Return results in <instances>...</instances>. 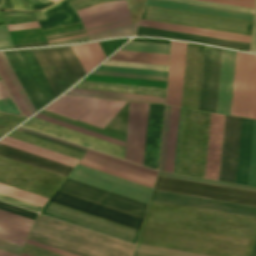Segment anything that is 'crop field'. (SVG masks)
<instances>
[{
    "label": "crop field",
    "instance_id": "8a807250",
    "mask_svg": "<svg viewBox=\"0 0 256 256\" xmlns=\"http://www.w3.org/2000/svg\"><path fill=\"white\" fill-rule=\"evenodd\" d=\"M57 96L86 74L71 47L33 50ZM32 50L4 52L36 111L56 96Z\"/></svg>",
    "mask_w": 256,
    "mask_h": 256
},
{
    "label": "crop field",
    "instance_id": "ac0d7876",
    "mask_svg": "<svg viewBox=\"0 0 256 256\" xmlns=\"http://www.w3.org/2000/svg\"><path fill=\"white\" fill-rule=\"evenodd\" d=\"M69 179L147 204L151 188L77 165ZM66 179L59 191L144 217L145 204Z\"/></svg>",
    "mask_w": 256,
    "mask_h": 256
},
{
    "label": "crop field",
    "instance_id": "34b2d1b8",
    "mask_svg": "<svg viewBox=\"0 0 256 256\" xmlns=\"http://www.w3.org/2000/svg\"><path fill=\"white\" fill-rule=\"evenodd\" d=\"M28 239L79 256H131L134 248L41 215Z\"/></svg>",
    "mask_w": 256,
    "mask_h": 256
},
{
    "label": "crop field",
    "instance_id": "412701ff",
    "mask_svg": "<svg viewBox=\"0 0 256 256\" xmlns=\"http://www.w3.org/2000/svg\"><path fill=\"white\" fill-rule=\"evenodd\" d=\"M144 20L251 36L252 22L182 11L144 7Z\"/></svg>",
    "mask_w": 256,
    "mask_h": 256
},
{
    "label": "crop field",
    "instance_id": "f4fd0767",
    "mask_svg": "<svg viewBox=\"0 0 256 256\" xmlns=\"http://www.w3.org/2000/svg\"><path fill=\"white\" fill-rule=\"evenodd\" d=\"M156 190L256 206V193L231 188L157 177Z\"/></svg>",
    "mask_w": 256,
    "mask_h": 256
},
{
    "label": "crop field",
    "instance_id": "dd49c442",
    "mask_svg": "<svg viewBox=\"0 0 256 256\" xmlns=\"http://www.w3.org/2000/svg\"><path fill=\"white\" fill-rule=\"evenodd\" d=\"M40 213L132 244L139 232L50 202Z\"/></svg>",
    "mask_w": 256,
    "mask_h": 256
},
{
    "label": "crop field",
    "instance_id": "e52e79f7",
    "mask_svg": "<svg viewBox=\"0 0 256 256\" xmlns=\"http://www.w3.org/2000/svg\"><path fill=\"white\" fill-rule=\"evenodd\" d=\"M255 55L237 52L231 115L249 118Z\"/></svg>",
    "mask_w": 256,
    "mask_h": 256
},
{
    "label": "crop field",
    "instance_id": "d8731c3e",
    "mask_svg": "<svg viewBox=\"0 0 256 256\" xmlns=\"http://www.w3.org/2000/svg\"><path fill=\"white\" fill-rule=\"evenodd\" d=\"M50 202L72 208L130 228L140 229L142 218L120 212L81 198L57 191Z\"/></svg>",
    "mask_w": 256,
    "mask_h": 256
},
{
    "label": "crop field",
    "instance_id": "5a996713",
    "mask_svg": "<svg viewBox=\"0 0 256 256\" xmlns=\"http://www.w3.org/2000/svg\"><path fill=\"white\" fill-rule=\"evenodd\" d=\"M221 54L220 49L205 47L198 110L215 113Z\"/></svg>",
    "mask_w": 256,
    "mask_h": 256
},
{
    "label": "crop field",
    "instance_id": "3316defc",
    "mask_svg": "<svg viewBox=\"0 0 256 256\" xmlns=\"http://www.w3.org/2000/svg\"><path fill=\"white\" fill-rule=\"evenodd\" d=\"M150 200L256 217V207L232 204L156 190L153 191Z\"/></svg>",
    "mask_w": 256,
    "mask_h": 256
},
{
    "label": "crop field",
    "instance_id": "28ad6ade",
    "mask_svg": "<svg viewBox=\"0 0 256 256\" xmlns=\"http://www.w3.org/2000/svg\"><path fill=\"white\" fill-rule=\"evenodd\" d=\"M241 119L225 116L219 180L235 183Z\"/></svg>",
    "mask_w": 256,
    "mask_h": 256
},
{
    "label": "crop field",
    "instance_id": "d1516ede",
    "mask_svg": "<svg viewBox=\"0 0 256 256\" xmlns=\"http://www.w3.org/2000/svg\"><path fill=\"white\" fill-rule=\"evenodd\" d=\"M122 6H126L125 1L104 3L92 8L78 11L77 13L81 18ZM42 12L48 18L43 22H39L42 29L81 21L74 7L63 0Z\"/></svg>",
    "mask_w": 256,
    "mask_h": 256
},
{
    "label": "crop field",
    "instance_id": "22f410ed",
    "mask_svg": "<svg viewBox=\"0 0 256 256\" xmlns=\"http://www.w3.org/2000/svg\"><path fill=\"white\" fill-rule=\"evenodd\" d=\"M164 106L149 104L143 165L158 170Z\"/></svg>",
    "mask_w": 256,
    "mask_h": 256
},
{
    "label": "crop field",
    "instance_id": "cbeb9de0",
    "mask_svg": "<svg viewBox=\"0 0 256 256\" xmlns=\"http://www.w3.org/2000/svg\"><path fill=\"white\" fill-rule=\"evenodd\" d=\"M186 44L172 41L166 105L180 107Z\"/></svg>",
    "mask_w": 256,
    "mask_h": 256
},
{
    "label": "crop field",
    "instance_id": "5142ce71",
    "mask_svg": "<svg viewBox=\"0 0 256 256\" xmlns=\"http://www.w3.org/2000/svg\"><path fill=\"white\" fill-rule=\"evenodd\" d=\"M236 52L223 50L216 113L230 115Z\"/></svg>",
    "mask_w": 256,
    "mask_h": 256
},
{
    "label": "crop field",
    "instance_id": "d9b57169",
    "mask_svg": "<svg viewBox=\"0 0 256 256\" xmlns=\"http://www.w3.org/2000/svg\"><path fill=\"white\" fill-rule=\"evenodd\" d=\"M224 116L212 114L205 178L218 180Z\"/></svg>",
    "mask_w": 256,
    "mask_h": 256
},
{
    "label": "crop field",
    "instance_id": "733c2abd",
    "mask_svg": "<svg viewBox=\"0 0 256 256\" xmlns=\"http://www.w3.org/2000/svg\"><path fill=\"white\" fill-rule=\"evenodd\" d=\"M0 156L66 177L72 167L0 144Z\"/></svg>",
    "mask_w": 256,
    "mask_h": 256
},
{
    "label": "crop field",
    "instance_id": "4a817a6b",
    "mask_svg": "<svg viewBox=\"0 0 256 256\" xmlns=\"http://www.w3.org/2000/svg\"><path fill=\"white\" fill-rule=\"evenodd\" d=\"M126 103L96 100L78 121L104 129Z\"/></svg>",
    "mask_w": 256,
    "mask_h": 256
},
{
    "label": "crop field",
    "instance_id": "bc2a9ffb",
    "mask_svg": "<svg viewBox=\"0 0 256 256\" xmlns=\"http://www.w3.org/2000/svg\"><path fill=\"white\" fill-rule=\"evenodd\" d=\"M135 35L156 36V37L179 39V40H185V41H191V42L217 45V46H221V47H225V48H229V49L244 50V51H248L249 45H250L247 43L227 41V40L214 39V38L201 37V36H194V35L168 32V31L155 30V29H148V28H142V27L138 28Z\"/></svg>",
    "mask_w": 256,
    "mask_h": 256
},
{
    "label": "crop field",
    "instance_id": "214f88e0",
    "mask_svg": "<svg viewBox=\"0 0 256 256\" xmlns=\"http://www.w3.org/2000/svg\"><path fill=\"white\" fill-rule=\"evenodd\" d=\"M253 121L242 119L236 183L247 185Z\"/></svg>",
    "mask_w": 256,
    "mask_h": 256
},
{
    "label": "crop field",
    "instance_id": "92a150f3",
    "mask_svg": "<svg viewBox=\"0 0 256 256\" xmlns=\"http://www.w3.org/2000/svg\"><path fill=\"white\" fill-rule=\"evenodd\" d=\"M145 5L183 10V11H189V12H196V13H202V14H209V15H215V16L236 18V19L249 20V21H252V18H253V15H250V14L225 11V10L201 7V6H194V5L182 4V3H176V2H169V1H163V0H147Z\"/></svg>",
    "mask_w": 256,
    "mask_h": 256
},
{
    "label": "crop field",
    "instance_id": "dafd665d",
    "mask_svg": "<svg viewBox=\"0 0 256 256\" xmlns=\"http://www.w3.org/2000/svg\"><path fill=\"white\" fill-rule=\"evenodd\" d=\"M139 26L181 32V33L195 34V35H201V36H208V37H214V38H221V39H227V40L241 41V42H247V43H250V40H251V37H248V36L209 31V30L196 29V28H189V27L150 22V21H144V20L140 21Z\"/></svg>",
    "mask_w": 256,
    "mask_h": 256
},
{
    "label": "crop field",
    "instance_id": "00972430",
    "mask_svg": "<svg viewBox=\"0 0 256 256\" xmlns=\"http://www.w3.org/2000/svg\"><path fill=\"white\" fill-rule=\"evenodd\" d=\"M65 95L91 97V98H102V99L125 100V101H136V102H147V103H158V104H164V100H165V97H160V96L136 95V94L78 90V89H72Z\"/></svg>",
    "mask_w": 256,
    "mask_h": 256
},
{
    "label": "crop field",
    "instance_id": "a9b5d70f",
    "mask_svg": "<svg viewBox=\"0 0 256 256\" xmlns=\"http://www.w3.org/2000/svg\"><path fill=\"white\" fill-rule=\"evenodd\" d=\"M93 100L90 98L62 96L45 110L77 120Z\"/></svg>",
    "mask_w": 256,
    "mask_h": 256
},
{
    "label": "crop field",
    "instance_id": "4177f3b9",
    "mask_svg": "<svg viewBox=\"0 0 256 256\" xmlns=\"http://www.w3.org/2000/svg\"><path fill=\"white\" fill-rule=\"evenodd\" d=\"M141 104L130 103L125 159L135 163Z\"/></svg>",
    "mask_w": 256,
    "mask_h": 256
},
{
    "label": "crop field",
    "instance_id": "730fd06b",
    "mask_svg": "<svg viewBox=\"0 0 256 256\" xmlns=\"http://www.w3.org/2000/svg\"><path fill=\"white\" fill-rule=\"evenodd\" d=\"M0 143L23 150V151H26V152H29V153H32V154H35V155H38V156H41V157H44V158H48V159L72 166V167H74L76 165V163L78 162V160H75V159H72V158H69V157H66V156L45 150V149H41V148L26 144V143H23V142H20V141H17V140L8 138V137L1 140Z\"/></svg>",
    "mask_w": 256,
    "mask_h": 256
},
{
    "label": "crop field",
    "instance_id": "eef30255",
    "mask_svg": "<svg viewBox=\"0 0 256 256\" xmlns=\"http://www.w3.org/2000/svg\"><path fill=\"white\" fill-rule=\"evenodd\" d=\"M72 49L86 74L106 58L98 43L74 46Z\"/></svg>",
    "mask_w": 256,
    "mask_h": 256
},
{
    "label": "crop field",
    "instance_id": "ae1a2a85",
    "mask_svg": "<svg viewBox=\"0 0 256 256\" xmlns=\"http://www.w3.org/2000/svg\"><path fill=\"white\" fill-rule=\"evenodd\" d=\"M109 60L168 65L169 56L118 51Z\"/></svg>",
    "mask_w": 256,
    "mask_h": 256
},
{
    "label": "crop field",
    "instance_id": "d3111659",
    "mask_svg": "<svg viewBox=\"0 0 256 256\" xmlns=\"http://www.w3.org/2000/svg\"><path fill=\"white\" fill-rule=\"evenodd\" d=\"M120 50L169 55L170 45L130 41Z\"/></svg>",
    "mask_w": 256,
    "mask_h": 256
},
{
    "label": "crop field",
    "instance_id": "750c4746",
    "mask_svg": "<svg viewBox=\"0 0 256 256\" xmlns=\"http://www.w3.org/2000/svg\"><path fill=\"white\" fill-rule=\"evenodd\" d=\"M0 193L43 207L48 199L0 184Z\"/></svg>",
    "mask_w": 256,
    "mask_h": 256
},
{
    "label": "crop field",
    "instance_id": "bd1437ed",
    "mask_svg": "<svg viewBox=\"0 0 256 256\" xmlns=\"http://www.w3.org/2000/svg\"><path fill=\"white\" fill-rule=\"evenodd\" d=\"M137 24L138 23L129 24V25L109 29V30H106L103 32L90 34L88 36H89L90 40L128 36V35L135 33Z\"/></svg>",
    "mask_w": 256,
    "mask_h": 256
},
{
    "label": "crop field",
    "instance_id": "1d83c4d3",
    "mask_svg": "<svg viewBox=\"0 0 256 256\" xmlns=\"http://www.w3.org/2000/svg\"><path fill=\"white\" fill-rule=\"evenodd\" d=\"M0 77L3 80L5 86L7 87L9 93L11 94L13 100L15 101L17 107L19 108L21 114L27 117L31 116L23 100L21 99L19 93L17 92L15 86L13 85L10 77L8 76L6 70L3 69L1 63H0Z\"/></svg>",
    "mask_w": 256,
    "mask_h": 256
},
{
    "label": "crop field",
    "instance_id": "120bbe31",
    "mask_svg": "<svg viewBox=\"0 0 256 256\" xmlns=\"http://www.w3.org/2000/svg\"><path fill=\"white\" fill-rule=\"evenodd\" d=\"M0 61H1L2 65H3L4 69L7 70L9 76L11 77L14 85L16 86L18 92L20 93L22 99L24 100V102H25L27 108L29 109L31 115L34 114L36 112L34 107L31 104L29 98L27 97V95H26L24 89L22 88L20 82L18 81L16 75L14 74L12 68L10 67V65H9L7 59L5 58L3 52H0Z\"/></svg>",
    "mask_w": 256,
    "mask_h": 256
},
{
    "label": "crop field",
    "instance_id": "d32e631a",
    "mask_svg": "<svg viewBox=\"0 0 256 256\" xmlns=\"http://www.w3.org/2000/svg\"><path fill=\"white\" fill-rule=\"evenodd\" d=\"M7 10H22V11H36L48 7L59 0H52L53 2L46 4L32 5L28 0H4Z\"/></svg>",
    "mask_w": 256,
    "mask_h": 256
},
{
    "label": "crop field",
    "instance_id": "5866460e",
    "mask_svg": "<svg viewBox=\"0 0 256 256\" xmlns=\"http://www.w3.org/2000/svg\"><path fill=\"white\" fill-rule=\"evenodd\" d=\"M128 18H130V16L127 10V11L83 21L82 23L84 28L87 29V28H91V27H95V26H99L107 23H112V22H116V21H120Z\"/></svg>",
    "mask_w": 256,
    "mask_h": 256
},
{
    "label": "crop field",
    "instance_id": "028f5c9d",
    "mask_svg": "<svg viewBox=\"0 0 256 256\" xmlns=\"http://www.w3.org/2000/svg\"><path fill=\"white\" fill-rule=\"evenodd\" d=\"M147 109H148V104H142L139 139H138V149H137V159H136V163L141 164V165H142V160H143Z\"/></svg>",
    "mask_w": 256,
    "mask_h": 256
},
{
    "label": "crop field",
    "instance_id": "e1f06a70",
    "mask_svg": "<svg viewBox=\"0 0 256 256\" xmlns=\"http://www.w3.org/2000/svg\"><path fill=\"white\" fill-rule=\"evenodd\" d=\"M96 70L167 77V72L100 66Z\"/></svg>",
    "mask_w": 256,
    "mask_h": 256
},
{
    "label": "crop field",
    "instance_id": "0bd39190",
    "mask_svg": "<svg viewBox=\"0 0 256 256\" xmlns=\"http://www.w3.org/2000/svg\"><path fill=\"white\" fill-rule=\"evenodd\" d=\"M248 185L256 187V121H254V126H253Z\"/></svg>",
    "mask_w": 256,
    "mask_h": 256
},
{
    "label": "crop field",
    "instance_id": "b80d0937",
    "mask_svg": "<svg viewBox=\"0 0 256 256\" xmlns=\"http://www.w3.org/2000/svg\"><path fill=\"white\" fill-rule=\"evenodd\" d=\"M134 251L155 254V255H162V256H202V255L164 250V249H158V248H152V247H146V246H140V245H137Z\"/></svg>",
    "mask_w": 256,
    "mask_h": 256
},
{
    "label": "crop field",
    "instance_id": "c035e120",
    "mask_svg": "<svg viewBox=\"0 0 256 256\" xmlns=\"http://www.w3.org/2000/svg\"><path fill=\"white\" fill-rule=\"evenodd\" d=\"M158 175L256 192V189H254V188H248V187L225 184V183L214 182V181H208V180H203V179L185 177V176H180V175H174V174H168V173H162V172H159Z\"/></svg>",
    "mask_w": 256,
    "mask_h": 256
},
{
    "label": "crop field",
    "instance_id": "c21b1889",
    "mask_svg": "<svg viewBox=\"0 0 256 256\" xmlns=\"http://www.w3.org/2000/svg\"><path fill=\"white\" fill-rule=\"evenodd\" d=\"M102 65L128 67V68H140V69H151V70H162V71H167V68H168V66H162V65H150V64L114 62V61H106Z\"/></svg>",
    "mask_w": 256,
    "mask_h": 256
},
{
    "label": "crop field",
    "instance_id": "03da06ac",
    "mask_svg": "<svg viewBox=\"0 0 256 256\" xmlns=\"http://www.w3.org/2000/svg\"><path fill=\"white\" fill-rule=\"evenodd\" d=\"M171 107L166 106L159 171H163Z\"/></svg>",
    "mask_w": 256,
    "mask_h": 256
},
{
    "label": "crop field",
    "instance_id": "b54c1fbb",
    "mask_svg": "<svg viewBox=\"0 0 256 256\" xmlns=\"http://www.w3.org/2000/svg\"><path fill=\"white\" fill-rule=\"evenodd\" d=\"M26 238V236L0 228V240L22 247Z\"/></svg>",
    "mask_w": 256,
    "mask_h": 256
},
{
    "label": "crop field",
    "instance_id": "5d738f31",
    "mask_svg": "<svg viewBox=\"0 0 256 256\" xmlns=\"http://www.w3.org/2000/svg\"><path fill=\"white\" fill-rule=\"evenodd\" d=\"M179 108H175L168 172L173 173Z\"/></svg>",
    "mask_w": 256,
    "mask_h": 256
},
{
    "label": "crop field",
    "instance_id": "d23c7cc5",
    "mask_svg": "<svg viewBox=\"0 0 256 256\" xmlns=\"http://www.w3.org/2000/svg\"><path fill=\"white\" fill-rule=\"evenodd\" d=\"M0 227L23 234V235H28L30 231V227L0 218Z\"/></svg>",
    "mask_w": 256,
    "mask_h": 256
},
{
    "label": "crop field",
    "instance_id": "425ffa30",
    "mask_svg": "<svg viewBox=\"0 0 256 256\" xmlns=\"http://www.w3.org/2000/svg\"><path fill=\"white\" fill-rule=\"evenodd\" d=\"M172 1L185 2V3H191V4H198V5H204V6H211V7H217V8H224V9L243 11V12H249V13H253L254 12V10H251V9H245V8L221 5V4H214V3L202 2V1H196V0H172Z\"/></svg>",
    "mask_w": 256,
    "mask_h": 256
},
{
    "label": "crop field",
    "instance_id": "25e5ab78",
    "mask_svg": "<svg viewBox=\"0 0 256 256\" xmlns=\"http://www.w3.org/2000/svg\"><path fill=\"white\" fill-rule=\"evenodd\" d=\"M14 48L7 25L0 26V50Z\"/></svg>",
    "mask_w": 256,
    "mask_h": 256
},
{
    "label": "crop field",
    "instance_id": "73cf0c24",
    "mask_svg": "<svg viewBox=\"0 0 256 256\" xmlns=\"http://www.w3.org/2000/svg\"><path fill=\"white\" fill-rule=\"evenodd\" d=\"M202 1L221 3V4L239 6V7L251 8V9H254V5H255V0H202Z\"/></svg>",
    "mask_w": 256,
    "mask_h": 256
},
{
    "label": "crop field",
    "instance_id": "89e229c0",
    "mask_svg": "<svg viewBox=\"0 0 256 256\" xmlns=\"http://www.w3.org/2000/svg\"><path fill=\"white\" fill-rule=\"evenodd\" d=\"M91 74L117 76V77H128V78H139V79H150V80H161V81H166V79H167V78H162V77L130 75V74H120V73L99 72V71H93Z\"/></svg>",
    "mask_w": 256,
    "mask_h": 256
},
{
    "label": "crop field",
    "instance_id": "1f2cbd36",
    "mask_svg": "<svg viewBox=\"0 0 256 256\" xmlns=\"http://www.w3.org/2000/svg\"><path fill=\"white\" fill-rule=\"evenodd\" d=\"M0 209L15 213V214H18V215H21V216H24V217H27V218H30L33 220L35 219V217L37 215L35 213L29 212V211H26V210H23V209L14 207V206H10V205H7V204L1 203V202H0Z\"/></svg>",
    "mask_w": 256,
    "mask_h": 256
},
{
    "label": "crop field",
    "instance_id": "dbb93151",
    "mask_svg": "<svg viewBox=\"0 0 256 256\" xmlns=\"http://www.w3.org/2000/svg\"><path fill=\"white\" fill-rule=\"evenodd\" d=\"M22 252L32 256H61V255H58L40 248H36L27 244L25 245Z\"/></svg>",
    "mask_w": 256,
    "mask_h": 256
},
{
    "label": "crop field",
    "instance_id": "0fb4a251",
    "mask_svg": "<svg viewBox=\"0 0 256 256\" xmlns=\"http://www.w3.org/2000/svg\"><path fill=\"white\" fill-rule=\"evenodd\" d=\"M0 111L21 116L11 98L0 100Z\"/></svg>",
    "mask_w": 256,
    "mask_h": 256
},
{
    "label": "crop field",
    "instance_id": "1d79db26",
    "mask_svg": "<svg viewBox=\"0 0 256 256\" xmlns=\"http://www.w3.org/2000/svg\"><path fill=\"white\" fill-rule=\"evenodd\" d=\"M0 217L9 219V220H12V221H15V222H18V223H21V224H24V225H27L30 227L32 226V224L34 222L33 220H30V219H27V218H24V217L15 215V214H11V213H8V212L2 211V210H0Z\"/></svg>",
    "mask_w": 256,
    "mask_h": 256
},
{
    "label": "crop field",
    "instance_id": "9d1cf04e",
    "mask_svg": "<svg viewBox=\"0 0 256 256\" xmlns=\"http://www.w3.org/2000/svg\"><path fill=\"white\" fill-rule=\"evenodd\" d=\"M0 200L11 203V204H15V205H18V206H21V207H24V208H27V209H30V210H33L36 212H39L41 209V207L29 204V203H25V202H22V201H19V200H16V199H13V198L1 195V194H0Z\"/></svg>",
    "mask_w": 256,
    "mask_h": 256
},
{
    "label": "crop field",
    "instance_id": "447ae74e",
    "mask_svg": "<svg viewBox=\"0 0 256 256\" xmlns=\"http://www.w3.org/2000/svg\"><path fill=\"white\" fill-rule=\"evenodd\" d=\"M250 118L256 119V60H255V71H254V81H253V92H252V103H251Z\"/></svg>",
    "mask_w": 256,
    "mask_h": 256
},
{
    "label": "crop field",
    "instance_id": "0765c3eb",
    "mask_svg": "<svg viewBox=\"0 0 256 256\" xmlns=\"http://www.w3.org/2000/svg\"><path fill=\"white\" fill-rule=\"evenodd\" d=\"M79 165H82V166H85V167H88V168H92V169H95V170H98V171H101V172H104V173H107V174H110V175H113V176H117V177L129 180V181H132V182H135V183H138V184H142V185L151 187V188L153 187L152 185H149V184L137 181V180H133V179H130V178H127V177H124V176H121V175H118V174H115V173H112V172H109V171H106V170H103V169H100V168H96V167H93V166H90V165H87V164H84V163H81V162H79Z\"/></svg>",
    "mask_w": 256,
    "mask_h": 256
},
{
    "label": "crop field",
    "instance_id": "db79e9e6",
    "mask_svg": "<svg viewBox=\"0 0 256 256\" xmlns=\"http://www.w3.org/2000/svg\"><path fill=\"white\" fill-rule=\"evenodd\" d=\"M21 249H22L21 247L0 241V250L6 251L18 256Z\"/></svg>",
    "mask_w": 256,
    "mask_h": 256
},
{
    "label": "crop field",
    "instance_id": "7b73153f",
    "mask_svg": "<svg viewBox=\"0 0 256 256\" xmlns=\"http://www.w3.org/2000/svg\"><path fill=\"white\" fill-rule=\"evenodd\" d=\"M87 154H90V155H93V156H96V157H99V158H102V159H106V160H109V161H112V162H115V163H118V164L130 167V168H133V169H136V170H140V171H143V172L155 175V176L157 175L156 173H153V172H150V171H147V170H144V169H141V168H138V167L126 164V163H122V162H119V161H116V160H113V159H110V158H107V157H104V156H101V155H98V154H95V153H92V152H89V151H87Z\"/></svg>",
    "mask_w": 256,
    "mask_h": 256
},
{
    "label": "crop field",
    "instance_id": "78b8030e",
    "mask_svg": "<svg viewBox=\"0 0 256 256\" xmlns=\"http://www.w3.org/2000/svg\"><path fill=\"white\" fill-rule=\"evenodd\" d=\"M27 244H30V245H33V246H36V247H40V248H43V249H46V250H49V251H52V252H55V253H58V254H61V255H65V256H75V255H72V254H69V253H66V252H63V251L45 246V245H41V244L29 241V240L27 241Z\"/></svg>",
    "mask_w": 256,
    "mask_h": 256
},
{
    "label": "crop field",
    "instance_id": "0f1d7ab4",
    "mask_svg": "<svg viewBox=\"0 0 256 256\" xmlns=\"http://www.w3.org/2000/svg\"><path fill=\"white\" fill-rule=\"evenodd\" d=\"M16 131H19V132H22V133H25V134H28V135H31V136H34V137H37V138H40V139H43V140H46V141H50V142H53V143H56V144H59V145H62V146H65V147H68V148H71V149H74V150L85 153V150H82V149H79V148H76V147H72V146H69V145L54 141V140H50V139H47V138H44V137H41V136H38V135H35V134H32V133H28V132H25V131H22V130H19V129H17Z\"/></svg>",
    "mask_w": 256,
    "mask_h": 256
},
{
    "label": "crop field",
    "instance_id": "e1d0b9f6",
    "mask_svg": "<svg viewBox=\"0 0 256 256\" xmlns=\"http://www.w3.org/2000/svg\"><path fill=\"white\" fill-rule=\"evenodd\" d=\"M39 27L37 22L34 23H28V24H22V25H16V26H9L10 31L13 30H21V29H29V28H37Z\"/></svg>",
    "mask_w": 256,
    "mask_h": 256
},
{
    "label": "crop field",
    "instance_id": "ae633e8c",
    "mask_svg": "<svg viewBox=\"0 0 256 256\" xmlns=\"http://www.w3.org/2000/svg\"><path fill=\"white\" fill-rule=\"evenodd\" d=\"M82 41H89V40L87 37H85V38H79V39H74V40L51 43L49 45L51 46V45H60V44H70V43H76V42H82Z\"/></svg>",
    "mask_w": 256,
    "mask_h": 256
},
{
    "label": "crop field",
    "instance_id": "d14b1444",
    "mask_svg": "<svg viewBox=\"0 0 256 256\" xmlns=\"http://www.w3.org/2000/svg\"><path fill=\"white\" fill-rule=\"evenodd\" d=\"M126 9H128V8H127V7H125V8L115 9V10L107 11V12L100 13V14H97V15H94V16H90V17L82 18L81 20L83 21V20H87V19H91V18H95V17L103 16V15H106V14H110V13H114V12H118V11H122V10H126Z\"/></svg>",
    "mask_w": 256,
    "mask_h": 256
},
{
    "label": "crop field",
    "instance_id": "c39391a2",
    "mask_svg": "<svg viewBox=\"0 0 256 256\" xmlns=\"http://www.w3.org/2000/svg\"><path fill=\"white\" fill-rule=\"evenodd\" d=\"M251 52H256V11H255V20H254V29H253V39H252Z\"/></svg>",
    "mask_w": 256,
    "mask_h": 256
},
{
    "label": "crop field",
    "instance_id": "ade564c9",
    "mask_svg": "<svg viewBox=\"0 0 256 256\" xmlns=\"http://www.w3.org/2000/svg\"><path fill=\"white\" fill-rule=\"evenodd\" d=\"M129 23H131V21H129V22H125V23H121V24H117V25H113V26H109V27H104V28H100V29L92 30V31H88V32H87V34L95 33V32H99V31H103V30H106V29H109V28H113V27H117V26H121V25L129 24Z\"/></svg>",
    "mask_w": 256,
    "mask_h": 256
},
{
    "label": "crop field",
    "instance_id": "c5b07064",
    "mask_svg": "<svg viewBox=\"0 0 256 256\" xmlns=\"http://www.w3.org/2000/svg\"><path fill=\"white\" fill-rule=\"evenodd\" d=\"M19 129H22V130H25V131H28V132H32V133H35V134H38V135H41V136H44V137H47V138H50V139H54V140H57V141H60V142H63V143H66V144H69V145L76 146V147H79V148L87 150L86 148H83V147H80V146H77V145H74V144H70V143H67V142H64V141H61V140H58V139H55V138H52V137L40 134V133H36V132L30 131V130L21 128V127H19Z\"/></svg>",
    "mask_w": 256,
    "mask_h": 256
},
{
    "label": "crop field",
    "instance_id": "c3a83c6f",
    "mask_svg": "<svg viewBox=\"0 0 256 256\" xmlns=\"http://www.w3.org/2000/svg\"><path fill=\"white\" fill-rule=\"evenodd\" d=\"M36 46H48L46 42L42 43H34V44H26V45H18L14 46L15 48H22V47H36Z\"/></svg>",
    "mask_w": 256,
    "mask_h": 256
},
{
    "label": "crop field",
    "instance_id": "fb207236",
    "mask_svg": "<svg viewBox=\"0 0 256 256\" xmlns=\"http://www.w3.org/2000/svg\"><path fill=\"white\" fill-rule=\"evenodd\" d=\"M85 36H86V34L77 35V36H72V37H67V38H62V39H57V40L48 41V43L57 42V41H62V40H68V39H74V38H79V37H85Z\"/></svg>",
    "mask_w": 256,
    "mask_h": 256
},
{
    "label": "crop field",
    "instance_id": "7312dd0a",
    "mask_svg": "<svg viewBox=\"0 0 256 256\" xmlns=\"http://www.w3.org/2000/svg\"><path fill=\"white\" fill-rule=\"evenodd\" d=\"M129 20H131V19L124 20V21H120V22H116V23H112V24H108V25H113V24H117V23H121V22L129 21ZM108 25H103V26H99V27H95V28L87 29V30H85V31L92 30V29H96V28H100V27H104V26H108Z\"/></svg>",
    "mask_w": 256,
    "mask_h": 256
},
{
    "label": "crop field",
    "instance_id": "180be81f",
    "mask_svg": "<svg viewBox=\"0 0 256 256\" xmlns=\"http://www.w3.org/2000/svg\"><path fill=\"white\" fill-rule=\"evenodd\" d=\"M89 151H92V150H89ZM92 152H95V151H92ZM95 153H98V152H95ZM98 154H101V153H98ZM101 155H104V154H101ZM104 156H107V155H104ZM107 157H110V156H107ZM110 158H113V157H110ZM113 159H116V158H113ZM116 160H119V159H116ZM119 161H122V160H119ZM123 162H125V161H123ZM126 163H128V162H126ZM129 164H131V163H129ZM132 165H134V164H132ZM135 166H137V165H135ZM138 167H140V166H138ZM141 168H143V167H141ZM144 169H146V168H144ZM147 170H149V169H147ZM150 171H152V170H150ZM153 172H155V171H153Z\"/></svg>",
    "mask_w": 256,
    "mask_h": 256
},
{
    "label": "crop field",
    "instance_id": "f0312440",
    "mask_svg": "<svg viewBox=\"0 0 256 256\" xmlns=\"http://www.w3.org/2000/svg\"><path fill=\"white\" fill-rule=\"evenodd\" d=\"M133 256H155V255H149V254H143V253L134 252Z\"/></svg>",
    "mask_w": 256,
    "mask_h": 256
},
{
    "label": "crop field",
    "instance_id": "1f1604b0",
    "mask_svg": "<svg viewBox=\"0 0 256 256\" xmlns=\"http://www.w3.org/2000/svg\"><path fill=\"white\" fill-rule=\"evenodd\" d=\"M84 30L82 31H77V32H72V33H67V34H63V35H58V36H53V37H48L46 39H49V38H54V37H59V36H64V35H69V34H73V33H78V32H83Z\"/></svg>",
    "mask_w": 256,
    "mask_h": 256
},
{
    "label": "crop field",
    "instance_id": "819c52e7",
    "mask_svg": "<svg viewBox=\"0 0 256 256\" xmlns=\"http://www.w3.org/2000/svg\"><path fill=\"white\" fill-rule=\"evenodd\" d=\"M0 256H14V255L0 251Z\"/></svg>",
    "mask_w": 256,
    "mask_h": 256
},
{
    "label": "crop field",
    "instance_id": "c821d689",
    "mask_svg": "<svg viewBox=\"0 0 256 256\" xmlns=\"http://www.w3.org/2000/svg\"><path fill=\"white\" fill-rule=\"evenodd\" d=\"M254 249H256V242H255V247H254ZM252 254H256V250H254ZM252 256H256V255H252Z\"/></svg>",
    "mask_w": 256,
    "mask_h": 256
},
{
    "label": "crop field",
    "instance_id": "a0ae1fb6",
    "mask_svg": "<svg viewBox=\"0 0 256 256\" xmlns=\"http://www.w3.org/2000/svg\"><path fill=\"white\" fill-rule=\"evenodd\" d=\"M21 256H29V255H26V254H23V253H22Z\"/></svg>",
    "mask_w": 256,
    "mask_h": 256
}]
</instances>
